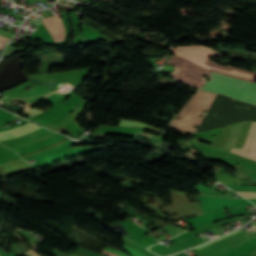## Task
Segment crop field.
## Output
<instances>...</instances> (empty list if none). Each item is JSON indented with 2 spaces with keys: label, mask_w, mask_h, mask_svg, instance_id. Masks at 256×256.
Listing matches in <instances>:
<instances>
[{
  "label": "crop field",
  "mask_w": 256,
  "mask_h": 256,
  "mask_svg": "<svg viewBox=\"0 0 256 256\" xmlns=\"http://www.w3.org/2000/svg\"><path fill=\"white\" fill-rule=\"evenodd\" d=\"M172 52L176 54L171 57L170 61L168 60L169 63L189 71L201 78H203L201 75L208 77L210 72L213 71L252 82L256 81L255 73L231 67L224 68L209 61L208 59L210 56L222 55L207 47H177L176 49H172Z\"/></svg>",
  "instance_id": "8a807250"
},
{
  "label": "crop field",
  "mask_w": 256,
  "mask_h": 256,
  "mask_svg": "<svg viewBox=\"0 0 256 256\" xmlns=\"http://www.w3.org/2000/svg\"><path fill=\"white\" fill-rule=\"evenodd\" d=\"M206 82V91L231 96L237 100L256 105V84L217 73H211Z\"/></svg>",
  "instance_id": "ac0d7876"
},
{
  "label": "crop field",
  "mask_w": 256,
  "mask_h": 256,
  "mask_svg": "<svg viewBox=\"0 0 256 256\" xmlns=\"http://www.w3.org/2000/svg\"><path fill=\"white\" fill-rule=\"evenodd\" d=\"M42 22L56 42L65 40V30L59 16L42 19Z\"/></svg>",
  "instance_id": "34b2d1b8"
},
{
  "label": "crop field",
  "mask_w": 256,
  "mask_h": 256,
  "mask_svg": "<svg viewBox=\"0 0 256 256\" xmlns=\"http://www.w3.org/2000/svg\"><path fill=\"white\" fill-rule=\"evenodd\" d=\"M226 218V215L224 214L223 210L215 211V212H209L206 214L198 215L192 218H188L187 220L195 227H201L207 224H210L212 222L218 221L220 219Z\"/></svg>",
  "instance_id": "412701ff"
},
{
  "label": "crop field",
  "mask_w": 256,
  "mask_h": 256,
  "mask_svg": "<svg viewBox=\"0 0 256 256\" xmlns=\"http://www.w3.org/2000/svg\"><path fill=\"white\" fill-rule=\"evenodd\" d=\"M39 128H41V127L29 122V123L21 125L17 128H14L12 130L0 132V141L6 140L9 138H13V137H17V136H21L23 134L29 133V132L34 131Z\"/></svg>",
  "instance_id": "f4fd0767"
},
{
  "label": "crop field",
  "mask_w": 256,
  "mask_h": 256,
  "mask_svg": "<svg viewBox=\"0 0 256 256\" xmlns=\"http://www.w3.org/2000/svg\"><path fill=\"white\" fill-rule=\"evenodd\" d=\"M181 72L183 73L182 75H180L179 73L177 72ZM172 76L175 77L176 80L178 81H181L185 84H188V85H191V86H194V87H197V88H201V86L203 85V83L205 82L204 80L184 71V70H181L179 68H177Z\"/></svg>",
  "instance_id": "dd49c442"
},
{
  "label": "crop field",
  "mask_w": 256,
  "mask_h": 256,
  "mask_svg": "<svg viewBox=\"0 0 256 256\" xmlns=\"http://www.w3.org/2000/svg\"><path fill=\"white\" fill-rule=\"evenodd\" d=\"M35 161L37 163L32 164V165L35 168H37V167H41V166H44V165H47V164H51V163H54V162H59V161H61V159L55 153H50V154H47L45 156H42L40 158L35 159Z\"/></svg>",
  "instance_id": "e52e79f7"
},
{
  "label": "crop field",
  "mask_w": 256,
  "mask_h": 256,
  "mask_svg": "<svg viewBox=\"0 0 256 256\" xmlns=\"http://www.w3.org/2000/svg\"><path fill=\"white\" fill-rule=\"evenodd\" d=\"M255 127H256V123L253 122L252 125H251V128L248 132L247 139H246V142H245L242 150L239 151V150H236V149L232 148L231 152H234L236 154H239V155H242V156L246 157V155L248 153V150H249L250 142H251L252 135H253Z\"/></svg>",
  "instance_id": "d8731c3e"
},
{
  "label": "crop field",
  "mask_w": 256,
  "mask_h": 256,
  "mask_svg": "<svg viewBox=\"0 0 256 256\" xmlns=\"http://www.w3.org/2000/svg\"><path fill=\"white\" fill-rule=\"evenodd\" d=\"M250 123L251 122H242L241 123L240 129H239L238 140L234 145L235 148L241 149V147L246 139V135H247Z\"/></svg>",
  "instance_id": "5a996713"
},
{
  "label": "crop field",
  "mask_w": 256,
  "mask_h": 256,
  "mask_svg": "<svg viewBox=\"0 0 256 256\" xmlns=\"http://www.w3.org/2000/svg\"><path fill=\"white\" fill-rule=\"evenodd\" d=\"M229 127H230V125H229V126H226V127H223V128L221 129V133H220V136H219V140H218V142H217L216 145H215L216 148L222 149V147H223V145H224V143H225V141H226V138L228 137Z\"/></svg>",
  "instance_id": "3316defc"
},
{
  "label": "crop field",
  "mask_w": 256,
  "mask_h": 256,
  "mask_svg": "<svg viewBox=\"0 0 256 256\" xmlns=\"http://www.w3.org/2000/svg\"><path fill=\"white\" fill-rule=\"evenodd\" d=\"M119 125H124V126H133V127H141V128H148V129H152V130H156V131H160L156 128L144 125L142 123L139 122H134V121H127V120H121ZM162 132V131H160ZM164 133V132H163Z\"/></svg>",
  "instance_id": "28ad6ade"
},
{
  "label": "crop field",
  "mask_w": 256,
  "mask_h": 256,
  "mask_svg": "<svg viewBox=\"0 0 256 256\" xmlns=\"http://www.w3.org/2000/svg\"><path fill=\"white\" fill-rule=\"evenodd\" d=\"M123 246H124V249H125L128 253H130L132 256H145V255L141 254L140 252H138V251H136V250H134V249H131V248L125 246V245H123ZM105 250H108V251H110V252L116 253V254H118V255H120V256H127V255H125V254H123V253H121V252H119V251H117V250H115V249H109V248L106 247Z\"/></svg>",
  "instance_id": "d1516ede"
},
{
  "label": "crop field",
  "mask_w": 256,
  "mask_h": 256,
  "mask_svg": "<svg viewBox=\"0 0 256 256\" xmlns=\"http://www.w3.org/2000/svg\"><path fill=\"white\" fill-rule=\"evenodd\" d=\"M67 139H69V138L66 137L65 139H63V140H61V141H59V142H57V143H55V144H52V145H50V146H47V147L41 148V149H39V150L33 151V152L29 153V154L21 155V157H22V158L28 157V156H31V155L40 153V152H42V151L51 149V148H53V147H55V146H57V145L63 143V142L66 141Z\"/></svg>",
  "instance_id": "22f410ed"
},
{
  "label": "crop field",
  "mask_w": 256,
  "mask_h": 256,
  "mask_svg": "<svg viewBox=\"0 0 256 256\" xmlns=\"http://www.w3.org/2000/svg\"><path fill=\"white\" fill-rule=\"evenodd\" d=\"M247 157L256 161V132L252 139L250 151H249Z\"/></svg>",
  "instance_id": "cbeb9de0"
},
{
  "label": "crop field",
  "mask_w": 256,
  "mask_h": 256,
  "mask_svg": "<svg viewBox=\"0 0 256 256\" xmlns=\"http://www.w3.org/2000/svg\"><path fill=\"white\" fill-rule=\"evenodd\" d=\"M41 112H43V110H36V108L31 107L29 110H27V111H25V112H23L21 114L31 118V117H33V116H35V115H37V114H39Z\"/></svg>",
  "instance_id": "5142ce71"
},
{
  "label": "crop field",
  "mask_w": 256,
  "mask_h": 256,
  "mask_svg": "<svg viewBox=\"0 0 256 256\" xmlns=\"http://www.w3.org/2000/svg\"><path fill=\"white\" fill-rule=\"evenodd\" d=\"M238 193H240L241 195L245 196V197H254L256 198V192H242V191H236Z\"/></svg>",
  "instance_id": "d9b57169"
},
{
  "label": "crop field",
  "mask_w": 256,
  "mask_h": 256,
  "mask_svg": "<svg viewBox=\"0 0 256 256\" xmlns=\"http://www.w3.org/2000/svg\"><path fill=\"white\" fill-rule=\"evenodd\" d=\"M238 232H240V230H238V231H236V232H233V233H231V234H229V235H226V236H224V237H221V238H219V239H217V240H215V241H213V242H210V243H208V244H205V245H202V246H200V247H197V250H199V249H201V248H203V247H205V246H207V245H209V244H211V243H214V242H216V241H219V240H221V239H223V238H225V237H227V236H230V235H232V234L238 233Z\"/></svg>",
  "instance_id": "733c2abd"
},
{
  "label": "crop field",
  "mask_w": 256,
  "mask_h": 256,
  "mask_svg": "<svg viewBox=\"0 0 256 256\" xmlns=\"http://www.w3.org/2000/svg\"><path fill=\"white\" fill-rule=\"evenodd\" d=\"M0 35H1V36H4V37H8V38L11 39L14 34H13V33L6 32V31H4V30H0Z\"/></svg>",
  "instance_id": "4a817a6b"
},
{
  "label": "crop field",
  "mask_w": 256,
  "mask_h": 256,
  "mask_svg": "<svg viewBox=\"0 0 256 256\" xmlns=\"http://www.w3.org/2000/svg\"><path fill=\"white\" fill-rule=\"evenodd\" d=\"M22 255H24V256H38L36 254L35 250H33V249L28 251V252H26V253H24V254H22Z\"/></svg>",
  "instance_id": "bc2a9ffb"
},
{
  "label": "crop field",
  "mask_w": 256,
  "mask_h": 256,
  "mask_svg": "<svg viewBox=\"0 0 256 256\" xmlns=\"http://www.w3.org/2000/svg\"><path fill=\"white\" fill-rule=\"evenodd\" d=\"M244 214H247L246 211H244V212H233V213H231L232 216L244 215Z\"/></svg>",
  "instance_id": "214f88e0"
},
{
  "label": "crop field",
  "mask_w": 256,
  "mask_h": 256,
  "mask_svg": "<svg viewBox=\"0 0 256 256\" xmlns=\"http://www.w3.org/2000/svg\"><path fill=\"white\" fill-rule=\"evenodd\" d=\"M7 40H8V38H4V37L0 36V43L5 44Z\"/></svg>",
  "instance_id": "92a150f3"
},
{
  "label": "crop field",
  "mask_w": 256,
  "mask_h": 256,
  "mask_svg": "<svg viewBox=\"0 0 256 256\" xmlns=\"http://www.w3.org/2000/svg\"><path fill=\"white\" fill-rule=\"evenodd\" d=\"M103 254H106V255H109V256H117V255H115V254H112V253H110V252H107V251H103Z\"/></svg>",
  "instance_id": "dafd665d"
},
{
  "label": "crop field",
  "mask_w": 256,
  "mask_h": 256,
  "mask_svg": "<svg viewBox=\"0 0 256 256\" xmlns=\"http://www.w3.org/2000/svg\"><path fill=\"white\" fill-rule=\"evenodd\" d=\"M249 256H256V249Z\"/></svg>",
  "instance_id": "00972430"
},
{
  "label": "crop field",
  "mask_w": 256,
  "mask_h": 256,
  "mask_svg": "<svg viewBox=\"0 0 256 256\" xmlns=\"http://www.w3.org/2000/svg\"><path fill=\"white\" fill-rule=\"evenodd\" d=\"M3 44H0V49L2 48Z\"/></svg>",
  "instance_id": "a9b5d70f"
},
{
  "label": "crop field",
  "mask_w": 256,
  "mask_h": 256,
  "mask_svg": "<svg viewBox=\"0 0 256 256\" xmlns=\"http://www.w3.org/2000/svg\"><path fill=\"white\" fill-rule=\"evenodd\" d=\"M71 256V255H70Z\"/></svg>",
  "instance_id": "4177f3b9"
}]
</instances>
